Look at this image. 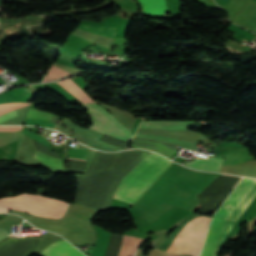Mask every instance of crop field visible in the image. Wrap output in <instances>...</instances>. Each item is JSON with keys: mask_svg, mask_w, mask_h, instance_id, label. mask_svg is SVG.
Listing matches in <instances>:
<instances>
[{"mask_svg": "<svg viewBox=\"0 0 256 256\" xmlns=\"http://www.w3.org/2000/svg\"><path fill=\"white\" fill-rule=\"evenodd\" d=\"M171 163V160L157 154H148L138 166L125 176L119 184L114 198L133 204Z\"/></svg>", "mask_w": 256, "mask_h": 256, "instance_id": "8a807250", "label": "crop field"}, {"mask_svg": "<svg viewBox=\"0 0 256 256\" xmlns=\"http://www.w3.org/2000/svg\"><path fill=\"white\" fill-rule=\"evenodd\" d=\"M80 106L88 111L93 120V124L89 127V129L123 140L131 141L132 135L130 134L129 130L120 124L113 115L108 113L102 107L96 103Z\"/></svg>", "mask_w": 256, "mask_h": 256, "instance_id": "ac0d7876", "label": "crop field"}, {"mask_svg": "<svg viewBox=\"0 0 256 256\" xmlns=\"http://www.w3.org/2000/svg\"><path fill=\"white\" fill-rule=\"evenodd\" d=\"M255 193L256 180L244 178L220 208L215 217L235 221Z\"/></svg>", "mask_w": 256, "mask_h": 256, "instance_id": "34b2d1b8", "label": "crop field"}, {"mask_svg": "<svg viewBox=\"0 0 256 256\" xmlns=\"http://www.w3.org/2000/svg\"><path fill=\"white\" fill-rule=\"evenodd\" d=\"M232 224L230 221L212 219L201 256H215Z\"/></svg>", "mask_w": 256, "mask_h": 256, "instance_id": "412701ff", "label": "crop field"}, {"mask_svg": "<svg viewBox=\"0 0 256 256\" xmlns=\"http://www.w3.org/2000/svg\"><path fill=\"white\" fill-rule=\"evenodd\" d=\"M209 219L210 218L207 217L206 220L203 222V226L201 224V226H202L201 233H200V229H201V226H200L197 229V231L186 241V243L177 252L193 254L196 243H197V239H198V236L200 233L199 240H198L196 250L194 253L195 256H199V253H200V250L202 247V243H203L206 231H207Z\"/></svg>", "mask_w": 256, "mask_h": 256, "instance_id": "f4fd0767", "label": "crop field"}, {"mask_svg": "<svg viewBox=\"0 0 256 256\" xmlns=\"http://www.w3.org/2000/svg\"><path fill=\"white\" fill-rule=\"evenodd\" d=\"M41 256H84L81 252L76 250L72 245H70L65 240L57 241L50 244V246L45 249Z\"/></svg>", "mask_w": 256, "mask_h": 256, "instance_id": "dd49c442", "label": "crop field"}, {"mask_svg": "<svg viewBox=\"0 0 256 256\" xmlns=\"http://www.w3.org/2000/svg\"><path fill=\"white\" fill-rule=\"evenodd\" d=\"M196 121H143L139 128H153V129H184L193 128Z\"/></svg>", "mask_w": 256, "mask_h": 256, "instance_id": "e52e79f7", "label": "crop field"}, {"mask_svg": "<svg viewBox=\"0 0 256 256\" xmlns=\"http://www.w3.org/2000/svg\"><path fill=\"white\" fill-rule=\"evenodd\" d=\"M23 134L27 135L28 137L40 142L41 144L50 147V143L42 136H39L35 133L27 132V131H21ZM35 159L43 161L42 164L50 165L53 167L61 168L63 169L62 161L56 158H52L46 155H43L41 153H36Z\"/></svg>", "mask_w": 256, "mask_h": 256, "instance_id": "d8731c3e", "label": "crop field"}, {"mask_svg": "<svg viewBox=\"0 0 256 256\" xmlns=\"http://www.w3.org/2000/svg\"><path fill=\"white\" fill-rule=\"evenodd\" d=\"M222 161H223L222 159L213 158V157H208V158L199 157L192 162L185 163L184 165L201 169V170L220 172Z\"/></svg>", "mask_w": 256, "mask_h": 256, "instance_id": "5a996713", "label": "crop field"}, {"mask_svg": "<svg viewBox=\"0 0 256 256\" xmlns=\"http://www.w3.org/2000/svg\"><path fill=\"white\" fill-rule=\"evenodd\" d=\"M28 117H34V118H40L44 120L50 121V119L53 117V114L45 113L39 110H31L29 109L27 112ZM26 118V123L28 125H35V126H42V127H49L53 128L55 124L50 123L48 121L40 120V119H34V118Z\"/></svg>", "mask_w": 256, "mask_h": 256, "instance_id": "3316defc", "label": "crop field"}, {"mask_svg": "<svg viewBox=\"0 0 256 256\" xmlns=\"http://www.w3.org/2000/svg\"><path fill=\"white\" fill-rule=\"evenodd\" d=\"M143 13L165 15L167 7L165 0H139Z\"/></svg>", "mask_w": 256, "mask_h": 256, "instance_id": "28ad6ade", "label": "crop field"}, {"mask_svg": "<svg viewBox=\"0 0 256 256\" xmlns=\"http://www.w3.org/2000/svg\"><path fill=\"white\" fill-rule=\"evenodd\" d=\"M77 29L113 38L117 28L81 23Z\"/></svg>", "mask_w": 256, "mask_h": 256, "instance_id": "d1516ede", "label": "crop field"}, {"mask_svg": "<svg viewBox=\"0 0 256 256\" xmlns=\"http://www.w3.org/2000/svg\"><path fill=\"white\" fill-rule=\"evenodd\" d=\"M134 137H139V138H153V139H157L163 142H168V143H173L176 144L178 146H181L183 148H188V149H193L194 144H190V143H186L183 141H179L176 139H172V138H168V137H162V136H152V135H141V134H135Z\"/></svg>", "mask_w": 256, "mask_h": 256, "instance_id": "22f410ed", "label": "crop field"}, {"mask_svg": "<svg viewBox=\"0 0 256 256\" xmlns=\"http://www.w3.org/2000/svg\"><path fill=\"white\" fill-rule=\"evenodd\" d=\"M64 75H70V73L56 67V66H53L51 65L48 73L46 74L45 76V79L43 82L45 81H53V80H56V79H59L61 78L62 76Z\"/></svg>", "mask_w": 256, "mask_h": 256, "instance_id": "cbeb9de0", "label": "crop field"}, {"mask_svg": "<svg viewBox=\"0 0 256 256\" xmlns=\"http://www.w3.org/2000/svg\"><path fill=\"white\" fill-rule=\"evenodd\" d=\"M29 103H5L0 104V115L5 114L9 111L28 106Z\"/></svg>", "mask_w": 256, "mask_h": 256, "instance_id": "5142ce71", "label": "crop field"}, {"mask_svg": "<svg viewBox=\"0 0 256 256\" xmlns=\"http://www.w3.org/2000/svg\"><path fill=\"white\" fill-rule=\"evenodd\" d=\"M68 150H69V153H68L69 157L82 158V159H86L87 157L88 150L76 149V148H68ZM73 158H69V159H73ZM82 159H73V160H82ZM82 161H86V160H82Z\"/></svg>", "mask_w": 256, "mask_h": 256, "instance_id": "d9b57169", "label": "crop field"}, {"mask_svg": "<svg viewBox=\"0 0 256 256\" xmlns=\"http://www.w3.org/2000/svg\"><path fill=\"white\" fill-rule=\"evenodd\" d=\"M115 115H117L123 122H125L127 125L133 122L131 119H129L124 113H122L119 109L113 112Z\"/></svg>", "mask_w": 256, "mask_h": 256, "instance_id": "733c2abd", "label": "crop field"}, {"mask_svg": "<svg viewBox=\"0 0 256 256\" xmlns=\"http://www.w3.org/2000/svg\"><path fill=\"white\" fill-rule=\"evenodd\" d=\"M21 129L22 127H0V131H17Z\"/></svg>", "mask_w": 256, "mask_h": 256, "instance_id": "4a817a6b", "label": "crop field"}, {"mask_svg": "<svg viewBox=\"0 0 256 256\" xmlns=\"http://www.w3.org/2000/svg\"><path fill=\"white\" fill-rule=\"evenodd\" d=\"M16 115V111L0 116V122Z\"/></svg>", "mask_w": 256, "mask_h": 256, "instance_id": "bc2a9ffb", "label": "crop field"}, {"mask_svg": "<svg viewBox=\"0 0 256 256\" xmlns=\"http://www.w3.org/2000/svg\"><path fill=\"white\" fill-rule=\"evenodd\" d=\"M8 235L9 233L6 230L0 228V240Z\"/></svg>", "mask_w": 256, "mask_h": 256, "instance_id": "214f88e0", "label": "crop field"}]
</instances>
